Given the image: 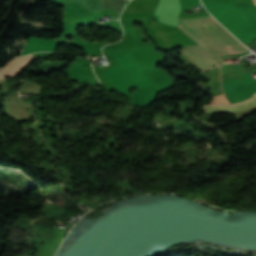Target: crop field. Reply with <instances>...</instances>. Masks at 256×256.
<instances>
[{
    "instance_id": "obj_1",
    "label": "crop field",
    "mask_w": 256,
    "mask_h": 256,
    "mask_svg": "<svg viewBox=\"0 0 256 256\" xmlns=\"http://www.w3.org/2000/svg\"><path fill=\"white\" fill-rule=\"evenodd\" d=\"M202 22L226 42L237 53L249 51L244 45L238 42L211 16L199 17ZM198 17L183 20L217 55L233 54V51L211 30H209ZM182 20H179L178 28L192 39L204 43Z\"/></svg>"
},
{
    "instance_id": "obj_2",
    "label": "crop field",
    "mask_w": 256,
    "mask_h": 256,
    "mask_svg": "<svg viewBox=\"0 0 256 256\" xmlns=\"http://www.w3.org/2000/svg\"><path fill=\"white\" fill-rule=\"evenodd\" d=\"M203 72L220 66V63L204 46L189 47L182 50Z\"/></svg>"
},
{
    "instance_id": "obj_3",
    "label": "crop field",
    "mask_w": 256,
    "mask_h": 256,
    "mask_svg": "<svg viewBox=\"0 0 256 256\" xmlns=\"http://www.w3.org/2000/svg\"><path fill=\"white\" fill-rule=\"evenodd\" d=\"M228 100L231 103L245 100L256 93V82H249L224 89Z\"/></svg>"
},
{
    "instance_id": "obj_4",
    "label": "crop field",
    "mask_w": 256,
    "mask_h": 256,
    "mask_svg": "<svg viewBox=\"0 0 256 256\" xmlns=\"http://www.w3.org/2000/svg\"><path fill=\"white\" fill-rule=\"evenodd\" d=\"M34 59L32 55L16 58L1 68L0 73L4 77H14Z\"/></svg>"
},
{
    "instance_id": "obj_5",
    "label": "crop field",
    "mask_w": 256,
    "mask_h": 256,
    "mask_svg": "<svg viewBox=\"0 0 256 256\" xmlns=\"http://www.w3.org/2000/svg\"><path fill=\"white\" fill-rule=\"evenodd\" d=\"M256 96V94H254ZM256 106V98H250L244 102L236 103L232 105H204L205 111L212 112H237Z\"/></svg>"
},
{
    "instance_id": "obj_6",
    "label": "crop field",
    "mask_w": 256,
    "mask_h": 256,
    "mask_svg": "<svg viewBox=\"0 0 256 256\" xmlns=\"http://www.w3.org/2000/svg\"><path fill=\"white\" fill-rule=\"evenodd\" d=\"M77 1L89 7L91 10H101L103 7L102 0H77Z\"/></svg>"
},
{
    "instance_id": "obj_7",
    "label": "crop field",
    "mask_w": 256,
    "mask_h": 256,
    "mask_svg": "<svg viewBox=\"0 0 256 256\" xmlns=\"http://www.w3.org/2000/svg\"><path fill=\"white\" fill-rule=\"evenodd\" d=\"M225 103H229V101L227 99H224V100H219V101L212 102V104H225Z\"/></svg>"
},
{
    "instance_id": "obj_8",
    "label": "crop field",
    "mask_w": 256,
    "mask_h": 256,
    "mask_svg": "<svg viewBox=\"0 0 256 256\" xmlns=\"http://www.w3.org/2000/svg\"><path fill=\"white\" fill-rule=\"evenodd\" d=\"M254 4H256V0H253Z\"/></svg>"
},
{
    "instance_id": "obj_9",
    "label": "crop field",
    "mask_w": 256,
    "mask_h": 256,
    "mask_svg": "<svg viewBox=\"0 0 256 256\" xmlns=\"http://www.w3.org/2000/svg\"><path fill=\"white\" fill-rule=\"evenodd\" d=\"M0 79H1V77H0Z\"/></svg>"
}]
</instances>
